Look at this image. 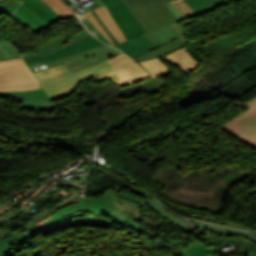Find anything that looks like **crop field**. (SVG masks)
<instances>
[{
  "instance_id": "5a996713",
  "label": "crop field",
  "mask_w": 256,
  "mask_h": 256,
  "mask_svg": "<svg viewBox=\"0 0 256 256\" xmlns=\"http://www.w3.org/2000/svg\"><path fill=\"white\" fill-rule=\"evenodd\" d=\"M119 53L121 52L117 49L104 45L62 60L48 63V66L52 68L63 63L72 73H74L80 69H83L107 57L117 55Z\"/></svg>"
},
{
  "instance_id": "120bbe31",
  "label": "crop field",
  "mask_w": 256,
  "mask_h": 256,
  "mask_svg": "<svg viewBox=\"0 0 256 256\" xmlns=\"http://www.w3.org/2000/svg\"><path fill=\"white\" fill-rule=\"evenodd\" d=\"M22 101H50L47 95L31 97V98H20Z\"/></svg>"
},
{
  "instance_id": "4a817a6b",
  "label": "crop field",
  "mask_w": 256,
  "mask_h": 256,
  "mask_svg": "<svg viewBox=\"0 0 256 256\" xmlns=\"http://www.w3.org/2000/svg\"><path fill=\"white\" fill-rule=\"evenodd\" d=\"M145 36L148 37L157 48L178 38L169 26L156 30L152 33H147Z\"/></svg>"
},
{
  "instance_id": "22f410ed",
  "label": "crop field",
  "mask_w": 256,
  "mask_h": 256,
  "mask_svg": "<svg viewBox=\"0 0 256 256\" xmlns=\"http://www.w3.org/2000/svg\"><path fill=\"white\" fill-rule=\"evenodd\" d=\"M115 46L127 53L132 59L156 49L154 44L144 35L138 36Z\"/></svg>"
},
{
  "instance_id": "f4fd0767",
  "label": "crop field",
  "mask_w": 256,
  "mask_h": 256,
  "mask_svg": "<svg viewBox=\"0 0 256 256\" xmlns=\"http://www.w3.org/2000/svg\"><path fill=\"white\" fill-rule=\"evenodd\" d=\"M111 187L103 196L99 198L105 199L107 216L114 222L128 226L129 228L141 232L140 226L133 223L134 220L141 219L138 205L134 202L127 201L118 197L114 188Z\"/></svg>"
},
{
  "instance_id": "730fd06b",
  "label": "crop field",
  "mask_w": 256,
  "mask_h": 256,
  "mask_svg": "<svg viewBox=\"0 0 256 256\" xmlns=\"http://www.w3.org/2000/svg\"><path fill=\"white\" fill-rule=\"evenodd\" d=\"M43 94H45V92L42 90V88L33 89V90H24V91L0 92V96H6V97H30V96L43 95Z\"/></svg>"
},
{
  "instance_id": "d32e631a",
  "label": "crop field",
  "mask_w": 256,
  "mask_h": 256,
  "mask_svg": "<svg viewBox=\"0 0 256 256\" xmlns=\"http://www.w3.org/2000/svg\"><path fill=\"white\" fill-rule=\"evenodd\" d=\"M40 4H42L47 10H49L54 16L58 19H61L43 0H37Z\"/></svg>"
},
{
  "instance_id": "d1516ede",
  "label": "crop field",
  "mask_w": 256,
  "mask_h": 256,
  "mask_svg": "<svg viewBox=\"0 0 256 256\" xmlns=\"http://www.w3.org/2000/svg\"><path fill=\"white\" fill-rule=\"evenodd\" d=\"M12 19L28 27L34 33H38L42 29L47 28L50 25L47 21L33 13L31 10H29L22 4L17 9Z\"/></svg>"
},
{
  "instance_id": "8a807250",
  "label": "crop field",
  "mask_w": 256,
  "mask_h": 256,
  "mask_svg": "<svg viewBox=\"0 0 256 256\" xmlns=\"http://www.w3.org/2000/svg\"><path fill=\"white\" fill-rule=\"evenodd\" d=\"M85 212L106 215L104 200L82 198V202L50 211L22 227L21 231H15L11 238L1 241L0 256H15L17 252L33 243L29 239L35 234L41 233L66 219L81 216Z\"/></svg>"
},
{
  "instance_id": "bc2a9ffb",
  "label": "crop field",
  "mask_w": 256,
  "mask_h": 256,
  "mask_svg": "<svg viewBox=\"0 0 256 256\" xmlns=\"http://www.w3.org/2000/svg\"><path fill=\"white\" fill-rule=\"evenodd\" d=\"M145 203L147 205H149L152 210L159 213L163 218L167 219L168 221H171L175 224H178L184 228H187V229L193 231V228L186 221H184V220L174 216L170 212H168L157 201H154V199H147L145 201Z\"/></svg>"
},
{
  "instance_id": "a9b5d70f",
  "label": "crop field",
  "mask_w": 256,
  "mask_h": 256,
  "mask_svg": "<svg viewBox=\"0 0 256 256\" xmlns=\"http://www.w3.org/2000/svg\"><path fill=\"white\" fill-rule=\"evenodd\" d=\"M22 4L27 6L33 12L39 14L41 17H43L45 20H47L50 23H52L55 20H57L56 17H54L49 11H47L43 6H41L35 0H25Z\"/></svg>"
},
{
  "instance_id": "0bd39190",
  "label": "crop field",
  "mask_w": 256,
  "mask_h": 256,
  "mask_svg": "<svg viewBox=\"0 0 256 256\" xmlns=\"http://www.w3.org/2000/svg\"><path fill=\"white\" fill-rule=\"evenodd\" d=\"M249 256H256V253L251 251Z\"/></svg>"
},
{
  "instance_id": "bd1437ed",
  "label": "crop field",
  "mask_w": 256,
  "mask_h": 256,
  "mask_svg": "<svg viewBox=\"0 0 256 256\" xmlns=\"http://www.w3.org/2000/svg\"><path fill=\"white\" fill-rule=\"evenodd\" d=\"M86 17L88 18V20L94 25V27L111 43V41L108 39V37L105 35V33L103 32L101 26L95 21V19L93 18L92 14L90 12L85 13ZM112 44V43H111ZM113 45V44H112Z\"/></svg>"
},
{
  "instance_id": "d8731c3e",
  "label": "crop field",
  "mask_w": 256,
  "mask_h": 256,
  "mask_svg": "<svg viewBox=\"0 0 256 256\" xmlns=\"http://www.w3.org/2000/svg\"><path fill=\"white\" fill-rule=\"evenodd\" d=\"M124 41L146 33L121 0L105 5Z\"/></svg>"
},
{
  "instance_id": "00972430",
  "label": "crop field",
  "mask_w": 256,
  "mask_h": 256,
  "mask_svg": "<svg viewBox=\"0 0 256 256\" xmlns=\"http://www.w3.org/2000/svg\"><path fill=\"white\" fill-rule=\"evenodd\" d=\"M62 18L75 16L73 10L62 0H44Z\"/></svg>"
},
{
  "instance_id": "3316defc",
  "label": "crop field",
  "mask_w": 256,
  "mask_h": 256,
  "mask_svg": "<svg viewBox=\"0 0 256 256\" xmlns=\"http://www.w3.org/2000/svg\"><path fill=\"white\" fill-rule=\"evenodd\" d=\"M107 61L113 67L114 70L104 73L98 77L93 78L92 80L97 81L98 83L101 82L103 79L110 77L114 74H118L120 78L135 75L141 72H145V70L135 64L132 60H130L127 56L123 53L107 58ZM117 75V76H118Z\"/></svg>"
},
{
  "instance_id": "733c2abd",
  "label": "crop field",
  "mask_w": 256,
  "mask_h": 256,
  "mask_svg": "<svg viewBox=\"0 0 256 256\" xmlns=\"http://www.w3.org/2000/svg\"><path fill=\"white\" fill-rule=\"evenodd\" d=\"M196 16L211 10L217 9L225 4L231 3L228 0H185Z\"/></svg>"
},
{
  "instance_id": "4177f3b9",
  "label": "crop field",
  "mask_w": 256,
  "mask_h": 256,
  "mask_svg": "<svg viewBox=\"0 0 256 256\" xmlns=\"http://www.w3.org/2000/svg\"><path fill=\"white\" fill-rule=\"evenodd\" d=\"M208 253L217 256L212 249L195 242L184 250L183 256H206Z\"/></svg>"
},
{
  "instance_id": "c21b1889",
  "label": "crop field",
  "mask_w": 256,
  "mask_h": 256,
  "mask_svg": "<svg viewBox=\"0 0 256 256\" xmlns=\"http://www.w3.org/2000/svg\"><path fill=\"white\" fill-rule=\"evenodd\" d=\"M207 256H211V255L208 254Z\"/></svg>"
},
{
  "instance_id": "5866460e",
  "label": "crop field",
  "mask_w": 256,
  "mask_h": 256,
  "mask_svg": "<svg viewBox=\"0 0 256 256\" xmlns=\"http://www.w3.org/2000/svg\"><path fill=\"white\" fill-rule=\"evenodd\" d=\"M9 209H11V208H9V207H7V206H5V205L0 203V214L5 212V211H7V210H9Z\"/></svg>"
},
{
  "instance_id": "dd49c442",
  "label": "crop field",
  "mask_w": 256,
  "mask_h": 256,
  "mask_svg": "<svg viewBox=\"0 0 256 256\" xmlns=\"http://www.w3.org/2000/svg\"><path fill=\"white\" fill-rule=\"evenodd\" d=\"M246 104L251 108L223 125L222 128L256 149V99Z\"/></svg>"
},
{
  "instance_id": "b80d0937",
  "label": "crop field",
  "mask_w": 256,
  "mask_h": 256,
  "mask_svg": "<svg viewBox=\"0 0 256 256\" xmlns=\"http://www.w3.org/2000/svg\"><path fill=\"white\" fill-rule=\"evenodd\" d=\"M106 4L111 2V1H115V0H103Z\"/></svg>"
},
{
  "instance_id": "e52e79f7",
  "label": "crop field",
  "mask_w": 256,
  "mask_h": 256,
  "mask_svg": "<svg viewBox=\"0 0 256 256\" xmlns=\"http://www.w3.org/2000/svg\"><path fill=\"white\" fill-rule=\"evenodd\" d=\"M104 45L93 36H90L70 47H66L60 51L54 52L43 58L39 56L37 52L28 53L22 55L26 65L32 70V72L47 67L48 62H52L58 59H62L98 46ZM45 69V68H44Z\"/></svg>"
},
{
  "instance_id": "412701ff",
  "label": "crop field",
  "mask_w": 256,
  "mask_h": 256,
  "mask_svg": "<svg viewBox=\"0 0 256 256\" xmlns=\"http://www.w3.org/2000/svg\"><path fill=\"white\" fill-rule=\"evenodd\" d=\"M22 59L0 62V91L39 88Z\"/></svg>"
},
{
  "instance_id": "028f5c9d",
  "label": "crop field",
  "mask_w": 256,
  "mask_h": 256,
  "mask_svg": "<svg viewBox=\"0 0 256 256\" xmlns=\"http://www.w3.org/2000/svg\"><path fill=\"white\" fill-rule=\"evenodd\" d=\"M25 104H48V105H52L51 102H22Z\"/></svg>"
},
{
  "instance_id": "eef30255",
  "label": "crop field",
  "mask_w": 256,
  "mask_h": 256,
  "mask_svg": "<svg viewBox=\"0 0 256 256\" xmlns=\"http://www.w3.org/2000/svg\"><path fill=\"white\" fill-rule=\"evenodd\" d=\"M0 54L6 60L21 57L12 45L3 40L0 41Z\"/></svg>"
},
{
  "instance_id": "ae1a2a85",
  "label": "crop field",
  "mask_w": 256,
  "mask_h": 256,
  "mask_svg": "<svg viewBox=\"0 0 256 256\" xmlns=\"http://www.w3.org/2000/svg\"><path fill=\"white\" fill-rule=\"evenodd\" d=\"M18 5L19 3H16L15 0H0V13L3 12L4 14L11 16Z\"/></svg>"
},
{
  "instance_id": "b54c1fbb",
  "label": "crop field",
  "mask_w": 256,
  "mask_h": 256,
  "mask_svg": "<svg viewBox=\"0 0 256 256\" xmlns=\"http://www.w3.org/2000/svg\"><path fill=\"white\" fill-rule=\"evenodd\" d=\"M1 61V60H0Z\"/></svg>"
},
{
  "instance_id": "28ad6ade",
  "label": "crop field",
  "mask_w": 256,
  "mask_h": 256,
  "mask_svg": "<svg viewBox=\"0 0 256 256\" xmlns=\"http://www.w3.org/2000/svg\"><path fill=\"white\" fill-rule=\"evenodd\" d=\"M74 19L84 29V31H81L80 33L73 35V36L63 34L47 43L41 45L40 47L37 48V52L40 54L41 57H43L47 54H50L54 51H57L65 46H69V45L90 35L87 32V30L84 28L82 23L79 21L77 16L74 17Z\"/></svg>"
},
{
  "instance_id": "750c4746",
  "label": "crop field",
  "mask_w": 256,
  "mask_h": 256,
  "mask_svg": "<svg viewBox=\"0 0 256 256\" xmlns=\"http://www.w3.org/2000/svg\"><path fill=\"white\" fill-rule=\"evenodd\" d=\"M81 21L84 23V25L87 27V29L96 37L101 39L102 41L110 44L94 27L93 25L87 20V18L84 16V14L79 16Z\"/></svg>"
},
{
  "instance_id": "214f88e0",
  "label": "crop field",
  "mask_w": 256,
  "mask_h": 256,
  "mask_svg": "<svg viewBox=\"0 0 256 256\" xmlns=\"http://www.w3.org/2000/svg\"><path fill=\"white\" fill-rule=\"evenodd\" d=\"M203 231L209 230V231H216L219 234H225V235H244L248 237L249 239L255 241L256 243V234L249 233V232H243V231H238L214 224H206V223H199L198 224Z\"/></svg>"
},
{
  "instance_id": "92a150f3",
  "label": "crop field",
  "mask_w": 256,
  "mask_h": 256,
  "mask_svg": "<svg viewBox=\"0 0 256 256\" xmlns=\"http://www.w3.org/2000/svg\"><path fill=\"white\" fill-rule=\"evenodd\" d=\"M140 64L144 66L153 77H164L171 72L158 58L149 59Z\"/></svg>"
},
{
  "instance_id": "dafd665d",
  "label": "crop field",
  "mask_w": 256,
  "mask_h": 256,
  "mask_svg": "<svg viewBox=\"0 0 256 256\" xmlns=\"http://www.w3.org/2000/svg\"><path fill=\"white\" fill-rule=\"evenodd\" d=\"M165 4L179 20L195 17L194 13L183 0H178L176 2H174L173 0L170 2H166Z\"/></svg>"
},
{
  "instance_id": "cbeb9de0",
  "label": "crop field",
  "mask_w": 256,
  "mask_h": 256,
  "mask_svg": "<svg viewBox=\"0 0 256 256\" xmlns=\"http://www.w3.org/2000/svg\"><path fill=\"white\" fill-rule=\"evenodd\" d=\"M169 26L177 34V36L180 39L170 42V43H168L150 53H147L141 57H138L134 60H136L139 63L145 59L154 58V57H162L165 54H167L177 48L184 47L185 44L188 42V40L183 36L186 33L176 23L170 24Z\"/></svg>"
},
{
  "instance_id": "ac0d7876",
  "label": "crop field",
  "mask_w": 256,
  "mask_h": 256,
  "mask_svg": "<svg viewBox=\"0 0 256 256\" xmlns=\"http://www.w3.org/2000/svg\"><path fill=\"white\" fill-rule=\"evenodd\" d=\"M112 70L106 59L95 65L87 67L72 74L63 64L50 69L49 67L34 72L39 83L43 86L49 97L64 98L71 94L78 84L86 79L98 76Z\"/></svg>"
},
{
  "instance_id": "5142ce71",
  "label": "crop field",
  "mask_w": 256,
  "mask_h": 256,
  "mask_svg": "<svg viewBox=\"0 0 256 256\" xmlns=\"http://www.w3.org/2000/svg\"><path fill=\"white\" fill-rule=\"evenodd\" d=\"M162 58H164L166 61H168L186 74L194 71L199 65V63L196 62L197 60L195 59V61L184 48L175 50Z\"/></svg>"
},
{
  "instance_id": "d3111659",
  "label": "crop field",
  "mask_w": 256,
  "mask_h": 256,
  "mask_svg": "<svg viewBox=\"0 0 256 256\" xmlns=\"http://www.w3.org/2000/svg\"><path fill=\"white\" fill-rule=\"evenodd\" d=\"M148 77H149L148 73L145 72V73H141V74H138V75H135V76H131V77L115 80L113 82L115 84H118L121 87L123 85L134 83V82L143 80V79L148 78Z\"/></svg>"
},
{
  "instance_id": "e1f06a70",
  "label": "crop field",
  "mask_w": 256,
  "mask_h": 256,
  "mask_svg": "<svg viewBox=\"0 0 256 256\" xmlns=\"http://www.w3.org/2000/svg\"><path fill=\"white\" fill-rule=\"evenodd\" d=\"M98 6L105 5L102 0H93Z\"/></svg>"
},
{
  "instance_id": "d9b57169",
  "label": "crop field",
  "mask_w": 256,
  "mask_h": 256,
  "mask_svg": "<svg viewBox=\"0 0 256 256\" xmlns=\"http://www.w3.org/2000/svg\"><path fill=\"white\" fill-rule=\"evenodd\" d=\"M92 14L96 21L102 26L104 32L107 34L114 45L123 42V39L115 24L113 23L110 15L108 14L105 6L92 11Z\"/></svg>"
},
{
  "instance_id": "34b2d1b8",
  "label": "crop field",
  "mask_w": 256,
  "mask_h": 256,
  "mask_svg": "<svg viewBox=\"0 0 256 256\" xmlns=\"http://www.w3.org/2000/svg\"><path fill=\"white\" fill-rule=\"evenodd\" d=\"M147 32L179 21L163 3L169 0H122Z\"/></svg>"
},
{
  "instance_id": "1d83c4d3",
  "label": "crop field",
  "mask_w": 256,
  "mask_h": 256,
  "mask_svg": "<svg viewBox=\"0 0 256 256\" xmlns=\"http://www.w3.org/2000/svg\"><path fill=\"white\" fill-rule=\"evenodd\" d=\"M21 107H25L26 109H35V110H54L53 106H47V105H24V104H22Z\"/></svg>"
},
{
  "instance_id": "c035e120",
  "label": "crop field",
  "mask_w": 256,
  "mask_h": 256,
  "mask_svg": "<svg viewBox=\"0 0 256 256\" xmlns=\"http://www.w3.org/2000/svg\"><path fill=\"white\" fill-rule=\"evenodd\" d=\"M0 59H2V61L5 60L1 55H0Z\"/></svg>"
},
{
  "instance_id": "03da06ac",
  "label": "crop field",
  "mask_w": 256,
  "mask_h": 256,
  "mask_svg": "<svg viewBox=\"0 0 256 256\" xmlns=\"http://www.w3.org/2000/svg\"><path fill=\"white\" fill-rule=\"evenodd\" d=\"M236 2L239 1V0H235Z\"/></svg>"
}]
</instances>
